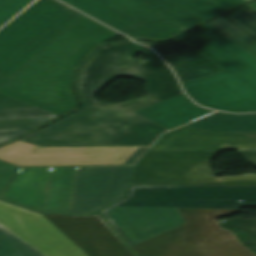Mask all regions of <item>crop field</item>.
<instances>
[{
  "label": "crop field",
  "mask_w": 256,
  "mask_h": 256,
  "mask_svg": "<svg viewBox=\"0 0 256 256\" xmlns=\"http://www.w3.org/2000/svg\"><path fill=\"white\" fill-rule=\"evenodd\" d=\"M223 18L256 41V10L251 6L248 5Z\"/></svg>",
  "instance_id": "00972430"
},
{
  "label": "crop field",
  "mask_w": 256,
  "mask_h": 256,
  "mask_svg": "<svg viewBox=\"0 0 256 256\" xmlns=\"http://www.w3.org/2000/svg\"><path fill=\"white\" fill-rule=\"evenodd\" d=\"M256 147V132L212 133L188 126L164 134L150 151Z\"/></svg>",
  "instance_id": "5142ce71"
},
{
  "label": "crop field",
  "mask_w": 256,
  "mask_h": 256,
  "mask_svg": "<svg viewBox=\"0 0 256 256\" xmlns=\"http://www.w3.org/2000/svg\"><path fill=\"white\" fill-rule=\"evenodd\" d=\"M140 51L150 60L134 58ZM123 75L146 82L149 96L116 105L97 103L96 93L115 77ZM79 88L87 103L130 111L183 93L170 68L151 49L134 42L99 48L81 70Z\"/></svg>",
  "instance_id": "f4fd0767"
},
{
  "label": "crop field",
  "mask_w": 256,
  "mask_h": 256,
  "mask_svg": "<svg viewBox=\"0 0 256 256\" xmlns=\"http://www.w3.org/2000/svg\"><path fill=\"white\" fill-rule=\"evenodd\" d=\"M209 25L256 59V42L254 40L222 18Z\"/></svg>",
  "instance_id": "92a150f3"
},
{
  "label": "crop field",
  "mask_w": 256,
  "mask_h": 256,
  "mask_svg": "<svg viewBox=\"0 0 256 256\" xmlns=\"http://www.w3.org/2000/svg\"><path fill=\"white\" fill-rule=\"evenodd\" d=\"M218 152H148L131 185H219L209 165Z\"/></svg>",
  "instance_id": "5a996713"
},
{
  "label": "crop field",
  "mask_w": 256,
  "mask_h": 256,
  "mask_svg": "<svg viewBox=\"0 0 256 256\" xmlns=\"http://www.w3.org/2000/svg\"><path fill=\"white\" fill-rule=\"evenodd\" d=\"M58 115L0 93V143Z\"/></svg>",
  "instance_id": "4a817a6b"
},
{
  "label": "crop field",
  "mask_w": 256,
  "mask_h": 256,
  "mask_svg": "<svg viewBox=\"0 0 256 256\" xmlns=\"http://www.w3.org/2000/svg\"><path fill=\"white\" fill-rule=\"evenodd\" d=\"M147 148H40L17 141L0 148V159L16 166L133 164Z\"/></svg>",
  "instance_id": "3316defc"
},
{
  "label": "crop field",
  "mask_w": 256,
  "mask_h": 256,
  "mask_svg": "<svg viewBox=\"0 0 256 256\" xmlns=\"http://www.w3.org/2000/svg\"><path fill=\"white\" fill-rule=\"evenodd\" d=\"M179 211L186 224L132 246L139 256H256L216 220L240 210Z\"/></svg>",
  "instance_id": "dd49c442"
},
{
  "label": "crop field",
  "mask_w": 256,
  "mask_h": 256,
  "mask_svg": "<svg viewBox=\"0 0 256 256\" xmlns=\"http://www.w3.org/2000/svg\"><path fill=\"white\" fill-rule=\"evenodd\" d=\"M220 185H256V175L222 177L220 178Z\"/></svg>",
  "instance_id": "730fd06b"
},
{
  "label": "crop field",
  "mask_w": 256,
  "mask_h": 256,
  "mask_svg": "<svg viewBox=\"0 0 256 256\" xmlns=\"http://www.w3.org/2000/svg\"><path fill=\"white\" fill-rule=\"evenodd\" d=\"M188 126L212 132L256 131V114L234 115L216 113Z\"/></svg>",
  "instance_id": "214f88e0"
},
{
  "label": "crop field",
  "mask_w": 256,
  "mask_h": 256,
  "mask_svg": "<svg viewBox=\"0 0 256 256\" xmlns=\"http://www.w3.org/2000/svg\"><path fill=\"white\" fill-rule=\"evenodd\" d=\"M237 153L241 155L248 163L256 166V151H245Z\"/></svg>",
  "instance_id": "eef30255"
},
{
  "label": "crop field",
  "mask_w": 256,
  "mask_h": 256,
  "mask_svg": "<svg viewBox=\"0 0 256 256\" xmlns=\"http://www.w3.org/2000/svg\"><path fill=\"white\" fill-rule=\"evenodd\" d=\"M115 34L84 16L6 81L0 92L58 115L75 108L78 102L71 90L75 67L93 46Z\"/></svg>",
  "instance_id": "ac0d7876"
},
{
  "label": "crop field",
  "mask_w": 256,
  "mask_h": 256,
  "mask_svg": "<svg viewBox=\"0 0 256 256\" xmlns=\"http://www.w3.org/2000/svg\"><path fill=\"white\" fill-rule=\"evenodd\" d=\"M157 14L184 27L202 23L227 8L212 0H133Z\"/></svg>",
  "instance_id": "733c2abd"
},
{
  "label": "crop field",
  "mask_w": 256,
  "mask_h": 256,
  "mask_svg": "<svg viewBox=\"0 0 256 256\" xmlns=\"http://www.w3.org/2000/svg\"><path fill=\"white\" fill-rule=\"evenodd\" d=\"M181 37L227 70L184 83L188 94L212 109L256 112V60L208 25Z\"/></svg>",
  "instance_id": "34b2d1b8"
},
{
  "label": "crop field",
  "mask_w": 256,
  "mask_h": 256,
  "mask_svg": "<svg viewBox=\"0 0 256 256\" xmlns=\"http://www.w3.org/2000/svg\"><path fill=\"white\" fill-rule=\"evenodd\" d=\"M0 256H44L0 226Z\"/></svg>",
  "instance_id": "dafd665d"
},
{
  "label": "crop field",
  "mask_w": 256,
  "mask_h": 256,
  "mask_svg": "<svg viewBox=\"0 0 256 256\" xmlns=\"http://www.w3.org/2000/svg\"><path fill=\"white\" fill-rule=\"evenodd\" d=\"M33 0H0V27Z\"/></svg>",
  "instance_id": "a9b5d70f"
},
{
  "label": "crop field",
  "mask_w": 256,
  "mask_h": 256,
  "mask_svg": "<svg viewBox=\"0 0 256 256\" xmlns=\"http://www.w3.org/2000/svg\"><path fill=\"white\" fill-rule=\"evenodd\" d=\"M82 16L55 0L36 2L0 31V73L11 77Z\"/></svg>",
  "instance_id": "e52e79f7"
},
{
  "label": "crop field",
  "mask_w": 256,
  "mask_h": 256,
  "mask_svg": "<svg viewBox=\"0 0 256 256\" xmlns=\"http://www.w3.org/2000/svg\"><path fill=\"white\" fill-rule=\"evenodd\" d=\"M0 225L45 256H87L40 213L0 201Z\"/></svg>",
  "instance_id": "d1516ede"
},
{
  "label": "crop field",
  "mask_w": 256,
  "mask_h": 256,
  "mask_svg": "<svg viewBox=\"0 0 256 256\" xmlns=\"http://www.w3.org/2000/svg\"><path fill=\"white\" fill-rule=\"evenodd\" d=\"M247 1H249V0H247Z\"/></svg>",
  "instance_id": "1d83c4d3"
},
{
  "label": "crop field",
  "mask_w": 256,
  "mask_h": 256,
  "mask_svg": "<svg viewBox=\"0 0 256 256\" xmlns=\"http://www.w3.org/2000/svg\"><path fill=\"white\" fill-rule=\"evenodd\" d=\"M77 169L21 168L3 199L40 212L69 213Z\"/></svg>",
  "instance_id": "d8731c3e"
},
{
  "label": "crop field",
  "mask_w": 256,
  "mask_h": 256,
  "mask_svg": "<svg viewBox=\"0 0 256 256\" xmlns=\"http://www.w3.org/2000/svg\"><path fill=\"white\" fill-rule=\"evenodd\" d=\"M227 151H245V150H256V148H232V149H222Z\"/></svg>",
  "instance_id": "d3111659"
},
{
  "label": "crop field",
  "mask_w": 256,
  "mask_h": 256,
  "mask_svg": "<svg viewBox=\"0 0 256 256\" xmlns=\"http://www.w3.org/2000/svg\"><path fill=\"white\" fill-rule=\"evenodd\" d=\"M253 8H255L256 9V2L255 3H252V4H250Z\"/></svg>",
  "instance_id": "bd1437ed"
},
{
  "label": "crop field",
  "mask_w": 256,
  "mask_h": 256,
  "mask_svg": "<svg viewBox=\"0 0 256 256\" xmlns=\"http://www.w3.org/2000/svg\"><path fill=\"white\" fill-rule=\"evenodd\" d=\"M247 206H256V187L132 186L128 198L101 213L132 246L184 224L177 208Z\"/></svg>",
  "instance_id": "8a807250"
},
{
  "label": "crop field",
  "mask_w": 256,
  "mask_h": 256,
  "mask_svg": "<svg viewBox=\"0 0 256 256\" xmlns=\"http://www.w3.org/2000/svg\"><path fill=\"white\" fill-rule=\"evenodd\" d=\"M183 41L177 38L163 44L140 42L153 47L173 67L183 83L225 71Z\"/></svg>",
  "instance_id": "d9b57169"
},
{
  "label": "crop field",
  "mask_w": 256,
  "mask_h": 256,
  "mask_svg": "<svg viewBox=\"0 0 256 256\" xmlns=\"http://www.w3.org/2000/svg\"><path fill=\"white\" fill-rule=\"evenodd\" d=\"M134 168L79 167L70 213L90 214L123 198Z\"/></svg>",
  "instance_id": "22f410ed"
},
{
  "label": "crop field",
  "mask_w": 256,
  "mask_h": 256,
  "mask_svg": "<svg viewBox=\"0 0 256 256\" xmlns=\"http://www.w3.org/2000/svg\"><path fill=\"white\" fill-rule=\"evenodd\" d=\"M43 215L53 222L88 256L135 255H133L99 213L92 216Z\"/></svg>",
  "instance_id": "cbeb9de0"
},
{
  "label": "crop field",
  "mask_w": 256,
  "mask_h": 256,
  "mask_svg": "<svg viewBox=\"0 0 256 256\" xmlns=\"http://www.w3.org/2000/svg\"><path fill=\"white\" fill-rule=\"evenodd\" d=\"M134 112L171 130L213 111L197 106L182 94Z\"/></svg>",
  "instance_id": "bc2a9ffb"
},
{
  "label": "crop field",
  "mask_w": 256,
  "mask_h": 256,
  "mask_svg": "<svg viewBox=\"0 0 256 256\" xmlns=\"http://www.w3.org/2000/svg\"><path fill=\"white\" fill-rule=\"evenodd\" d=\"M167 129L133 113L85 103L20 141L40 147L150 146Z\"/></svg>",
  "instance_id": "412701ff"
},
{
  "label": "crop field",
  "mask_w": 256,
  "mask_h": 256,
  "mask_svg": "<svg viewBox=\"0 0 256 256\" xmlns=\"http://www.w3.org/2000/svg\"><path fill=\"white\" fill-rule=\"evenodd\" d=\"M8 79H9V77H6V76L0 74V86H1L6 80H8Z\"/></svg>",
  "instance_id": "750c4746"
},
{
  "label": "crop field",
  "mask_w": 256,
  "mask_h": 256,
  "mask_svg": "<svg viewBox=\"0 0 256 256\" xmlns=\"http://www.w3.org/2000/svg\"><path fill=\"white\" fill-rule=\"evenodd\" d=\"M214 1L229 9L239 6L242 3L246 2L245 0H214Z\"/></svg>",
  "instance_id": "ae1a2a85"
},
{
  "label": "crop field",
  "mask_w": 256,
  "mask_h": 256,
  "mask_svg": "<svg viewBox=\"0 0 256 256\" xmlns=\"http://www.w3.org/2000/svg\"><path fill=\"white\" fill-rule=\"evenodd\" d=\"M132 38H168L184 28L131 0H62Z\"/></svg>",
  "instance_id": "28ad6ade"
},
{
  "label": "crop field",
  "mask_w": 256,
  "mask_h": 256,
  "mask_svg": "<svg viewBox=\"0 0 256 256\" xmlns=\"http://www.w3.org/2000/svg\"><path fill=\"white\" fill-rule=\"evenodd\" d=\"M19 167L0 161V198Z\"/></svg>",
  "instance_id": "4177f3b9"
}]
</instances>
